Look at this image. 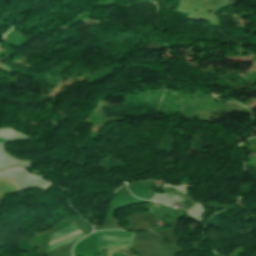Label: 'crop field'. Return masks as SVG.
Returning a JSON list of instances; mask_svg holds the SVG:
<instances>
[{"label":"crop field","instance_id":"3","mask_svg":"<svg viewBox=\"0 0 256 256\" xmlns=\"http://www.w3.org/2000/svg\"><path fill=\"white\" fill-rule=\"evenodd\" d=\"M229 2L236 3V0H229Z\"/></svg>","mask_w":256,"mask_h":256},{"label":"crop field","instance_id":"2","mask_svg":"<svg viewBox=\"0 0 256 256\" xmlns=\"http://www.w3.org/2000/svg\"><path fill=\"white\" fill-rule=\"evenodd\" d=\"M75 229H77V226H76L75 224H71V225H69V226H67V227H65V228H63V229H61V230H59V231H57V232H55V233L50 234V239L53 238V237L59 236V235H61V234L67 233V232H69V231L75 230ZM77 233H80V230H79V229H77V230H75V231H72V232H69V233H67V234L61 235V236H59V237H56V238L51 239V240H50V244L53 243V242L59 241V240H61V239L67 238V237H69V236L75 235V234H77ZM83 237H85V236H84L82 233H80V234H78V235H75V236H72V237H70V238H67V239H64V240H62V241L56 242V243H54V244H51V245L49 246L47 252H48V251H52V250H54V249H56V248H59V247H61V246H63V245L69 244V243H71V242L77 241V240H79V239H82Z\"/></svg>","mask_w":256,"mask_h":256},{"label":"crop field","instance_id":"1","mask_svg":"<svg viewBox=\"0 0 256 256\" xmlns=\"http://www.w3.org/2000/svg\"><path fill=\"white\" fill-rule=\"evenodd\" d=\"M97 247H126L131 248L134 233L121 231H98L95 232Z\"/></svg>","mask_w":256,"mask_h":256}]
</instances>
